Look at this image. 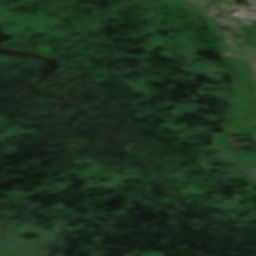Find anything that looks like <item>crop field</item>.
Masks as SVG:
<instances>
[{
    "mask_svg": "<svg viewBox=\"0 0 256 256\" xmlns=\"http://www.w3.org/2000/svg\"><path fill=\"white\" fill-rule=\"evenodd\" d=\"M247 52H248V55H249L250 58H251L252 66H253L254 72L256 73V51L247 48Z\"/></svg>",
    "mask_w": 256,
    "mask_h": 256,
    "instance_id": "1",
    "label": "crop field"
}]
</instances>
